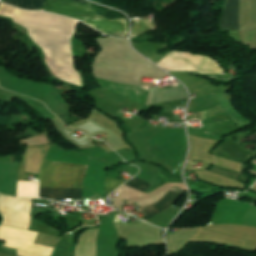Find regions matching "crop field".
<instances>
[{
  "mask_svg": "<svg viewBox=\"0 0 256 256\" xmlns=\"http://www.w3.org/2000/svg\"><path fill=\"white\" fill-rule=\"evenodd\" d=\"M4 2L28 10H38L40 0H4ZM81 0H42L40 9L65 16H73L90 26L116 37H127L126 19L105 20L90 6Z\"/></svg>",
  "mask_w": 256,
  "mask_h": 256,
  "instance_id": "1",
  "label": "crop field"
},
{
  "mask_svg": "<svg viewBox=\"0 0 256 256\" xmlns=\"http://www.w3.org/2000/svg\"><path fill=\"white\" fill-rule=\"evenodd\" d=\"M125 185H128L130 187H133L141 192L145 191L149 186L150 184L148 183H145L141 180H138L136 178L132 179L131 181L127 182Z\"/></svg>",
  "mask_w": 256,
  "mask_h": 256,
  "instance_id": "6",
  "label": "crop field"
},
{
  "mask_svg": "<svg viewBox=\"0 0 256 256\" xmlns=\"http://www.w3.org/2000/svg\"><path fill=\"white\" fill-rule=\"evenodd\" d=\"M87 167L44 161L40 189H81ZM40 197L82 199L81 190H40Z\"/></svg>",
  "mask_w": 256,
  "mask_h": 256,
  "instance_id": "2",
  "label": "crop field"
},
{
  "mask_svg": "<svg viewBox=\"0 0 256 256\" xmlns=\"http://www.w3.org/2000/svg\"><path fill=\"white\" fill-rule=\"evenodd\" d=\"M184 192L185 190L181 188H173L158 203L138 209V211L147 215L143 218L146 221L176 204Z\"/></svg>",
  "mask_w": 256,
  "mask_h": 256,
  "instance_id": "3",
  "label": "crop field"
},
{
  "mask_svg": "<svg viewBox=\"0 0 256 256\" xmlns=\"http://www.w3.org/2000/svg\"><path fill=\"white\" fill-rule=\"evenodd\" d=\"M154 21L153 19H148V20H134V27L132 29V36L131 39L150 30L154 29Z\"/></svg>",
  "mask_w": 256,
  "mask_h": 256,
  "instance_id": "5",
  "label": "crop field"
},
{
  "mask_svg": "<svg viewBox=\"0 0 256 256\" xmlns=\"http://www.w3.org/2000/svg\"><path fill=\"white\" fill-rule=\"evenodd\" d=\"M238 9L239 0H227L225 12L221 22L222 29L239 30Z\"/></svg>",
  "mask_w": 256,
  "mask_h": 256,
  "instance_id": "4",
  "label": "crop field"
},
{
  "mask_svg": "<svg viewBox=\"0 0 256 256\" xmlns=\"http://www.w3.org/2000/svg\"><path fill=\"white\" fill-rule=\"evenodd\" d=\"M122 183V181L107 177L105 181L106 194L109 195L111 192H113L114 189H116Z\"/></svg>",
  "mask_w": 256,
  "mask_h": 256,
  "instance_id": "7",
  "label": "crop field"
}]
</instances>
